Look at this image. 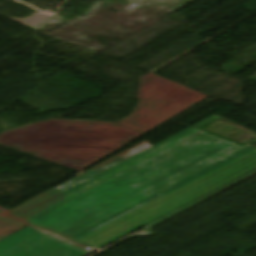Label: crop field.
<instances>
[{
	"mask_svg": "<svg viewBox=\"0 0 256 256\" xmlns=\"http://www.w3.org/2000/svg\"><path fill=\"white\" fill-rule=\"evenodd\" d=\"M88 254L29 227L0 241V256H86Z\"/></svg>",
	"mask_w": 256,
	"mask_h": 256,
	"instance_id": "obj_3",
	"label": "crop field"
},
{
	"mask_svg": "<svg viewBox=\"0 0 256 256\" xmlns=\"http://www.w3.org/2000/svg\"><path fill=\"white\" fill-rule=\"evenodd\" d=\"M213 119L221 120V119H223V118H221V117L215 115V116L211 117L210 119L206 120L205 122H203V123H201V124H199V125H197V126L191 128V129H189V130H187V131H185V132H183V133H181V134H179V135H177V136H175V137H177V138H179V139L182 140V139L188 137L189 135L193 134L194 132L198 131V130H199V129H197L198 127L204 125L205 123H207V122H209V121H211V120H213Z\"/></svg>",
	"mask_w": 256,
	"mask_h": 256,
	"instance_id": "obj_5",
	"label": "crop field"
},
{
	"mask_svg": "<svg viewBox=\"0 0 256 256\" xmlns=\"http://www.w3.org/2000/svg\"><path fill=\"white\" fill-rule=\"evenodd\" d=\"M171 138L66 192L78 195L104 181L150 200L73 238L80 239L250 151L204 132L179 143Z\"/></svg>",
	"mask_w": 256,
	"mask_h": 256,
	"instance_id": "obj_2",
	"label": "crop field"
},
{
	"mask_svg": "<svg viewBox=\"0 0 256 256\" xmlns=\"http://www.w3.org/2000/svg\"><path fill=\"white\" fill-rule=\"evenodd\" d=\"M244 147L253 150L78 242L98 249L144 225L151 228L256 174V147ZM139 153L134 149L122 153L6 214L71 239L144 199L115 191L118 186L106 182L76 197L64 192Z\"/></svg>",
	"mask_w": 256,
	"mask_h": 256,
	"instance_id": "obj_1",
	"label": "crop field"
},
{
	"mask_svg": "<svg viewBox=\"0 0 256 256\" xmlns=\"http://www.w3.org/2000/svg\"><path fill=\"white\" fill-rule=\"evenodd\" d=\"M27 226H29V227H31L33 229H36V230H38L40 232H43V233H45V234H47L49 236H52V237H54L56 239H59V240H61L63 242H66L68 244L76 246V247H78L80 249L88 251L90 253L95 251V250H97V249L91 248L89 246L83 245L81 243H78L76 241H73V240H70L68 238H65L63 236H60V235H57L55 233L49 232V231L44 230L42 228L36 227V226L31 225L29 223L23 222V221L18 220L16 218L10 217V216L5 215V214L0 212V240L10 236L11 234H13V233H15V232H17V231L27 227Z\"/></svg>",
	"mask_w": 256,
	"mask_h": 256,
	"instance_id": "obj_4",
	"label": "crop field"
}]
</instances>
